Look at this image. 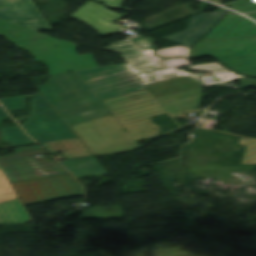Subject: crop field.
I'll return each instance as SVG.
<instances>
[{"mask_svg": "<svg viewBox=\"0 0 256 256\" xmlns=\"http://www.w3.org/2000/svg\"><path fill=\"white\" fill-rule=\"evenodd\" d=\"M0 36L32 53L38 62L47 64L50 69L48 75L99 67L92 54L79 56L74 43L60 41L2 20Z\"/></svg>", "mask_w": 256, "mask_h": 256, "instance_id": "crop-field-1", "label": "crop field"}, {"mask_svg": "<svg viewBox=\"0 0 256 256\" xmlns=\"http://www.w3.org/2000/svg\"><path fill=\"white\" fill-rule=\"evenodd\" d=\"M37 88L68 125L110 113L77 72L50 76Z\"/></svg>", "mask_w": 256, "mask_h": 256, "instance_id": "crop-field-2", "label": "crop field"}, {"mask_svg": "<svg viewBox=\"0 0 256 256\" xmlns=\"http://www.w3.org/2000/svg\"><path fill=\"white\" fill-rule=\"evenodd\" d=\"M129 99L133 95H140ZM142 97L140 100H134ZM104 104L131 133L136 141L157 136L160 128L151 122L153 116L166 112L148 89L103 100ZM153 128L157 129L155 131Z\"/></svg>", "mask_w": 256, "mask_h": 256, "instance_id": "crop-field-3", "label": "crop field"}, {"mask_svg": "<svg viewBox=\"0 0 256 256\" xmlns=\"http://www.w3.org/2000/svg\"><path fill=\"white\" fill-rule=\"evenodd\" d=\"M70 127L95 155L140 148L130 133L122 130L123 126L113 114L70 125Z\"/></svg>", "mask_w": 256, "mask_h": 256, "instance_id": "crop-field-4", "label": "crop field"}, {"mask_svg": "<svg viewBox=\"0 0 256 256\" xmlns=\"http://www.w3.org/2000/svg\"><path fill=\"white\" fill-rule=\"evenodd\" d=\"M212 55L226 66L256 77V38L207 40L203 38L191 49L192 58Z\"/></svg>", "mask_w": 256, "mask_h": 256, "instance_id": "crop-field-5", "label": "crop field"}, {"mask_svg": "<svg viewBox=\"0 0 256 256\" xmlns=\"http://www.w3.org/2000/svg\"><path fill=\"white\" fill-rule=\"evenodd\" d=\"M24 205L81 196V185L71 174L13 183Z\"/></svg>", "mask_w": 256, "mask_h": 256, "instance_id": "crop-field-6", "label": "crop field"}, {"mask_svg": "<svg viewBox=\"0 0 256 256\" xmlns=\"http://www.w3.org/2000/svg\"><path fill=\"white\" fill-rule=\"evenodd\" d=\"M24 130L38 143L76 137L42 94L35 95Z\"/></svg>", "mask_w": 256, "mask_h": 256, "instance_id": "crop-field-7", "label": "crop field"}, {"mask_svg": "<svg viewBox=\"0 0 256 256\" xmlns=\"http://www.w3.org/2000/svg\"><path fill=\"white\" fill-rule=\"evenodd\" d=\"M16 154L0 156V164L10 178L11 182L38 178L30 162L25 158L29 156L50 176L69 173L57 162H52L38 145L16 148ZM48 177V176H47ZM42 178V177H41Z\"/></svg>", "mask_w": 256, "mask_h": 256, "instance_id": "crop-field-8", "label": "crop field"}, {"mask_svg": "<svg viewBox=\"0 0 256 256\" xmlns=\"http://www.w3.org/2000/svg\"><path fill=\"white\" fill-rule=\"evenodd\" d=\"M0 19L36 31L52 30L31 0H0Z\"/></svg>", "mask_w": 256, "mask_h": 256, "instance_id": "crop-field-9", "label": "crop field"}, {"mask_svg": "<svg viewBox=\"0 0 256 256\" xmlns=\"http://www.w3.org/2000/svg\"><path fill=\"white\" fill-rule=\"evenodd\" d=\"M105 8V6L90 1L72 14L71 17L93 27L103 34L126 30L113 23L124 15H120Z\"/></svg>", "mask_w": 256, "mask_h": 256, "instance_id": "crop-field-10", "label": "crop field"}, {"mask_svg": "<svg viewBox=\"0 0 256 256\" xmlns=\"http://www.w3.org/2000/svg\"><path fill=\"white\" fill-rule=\"evenodd\" d=\"M227 10L218 9L212 13H202L189 18L188 28L185 31L172 34L164 39L190 48L197 42L225 13Z\"/></svg>", "mask_w": 256, "mask_h": 256, "instance_id": "crop-field-11", "label": "crop field"}, {"mask_svg": "<svg viewBox=\"0 0 256 256\" xmlns=\"http://www.w3.org/2000/svg\"><path fill=\"white\" fill-rule=\"evenodd\" d=\"M256 37V24L245 17L229 12L206 36L208 39Z\"/></svg>", "mask_w": 256, "mask_h": 256, "instance_id": "crop-field-12", "label": "crop field"}, {"mask_svg": "<svg viewBox=\"0 0 256 256\" xmlns=\"http://www.w3.org/2000/svg\"><path fill=\"white\" fill-rule=\"evenodd\" d=\"M202 91L203 87H200L157 98V100L170 116L183 115V113L190 112H200L204 111V109L195 110V107L199 106Z\"/></svg>", "mask_w": 256, "mask_h": 256, "instance_id": "crop-field-13", "label": "crop field"}, {"mask_svg": "<svg viewBox=\"0 0 256 256\" xmlns=\"http://www.w3.org/2000/svg\"><path fill=\"white\" fill-rule=\"evenodd\" d=\"M155 98L180 92L183 90L200 87L202 84L187 76L160 81L146 85Z\"/></svg>", "mask_w": 256, "mask_h": 256, "instance_id": "crop-field-14", "label": "crop field"}, {"mask_svg": "<svg viewBox=\"0 0 256 256\" xmlns=\"http://www.w3.org/2000/svg\"><path fill=\"white\" fill-rule=\"evenodd\" d=\"M50 154L62 152L66 159L91 155L78 138L41 144Z\"/></svg>", "mask_w": 256, "mask_h": 256, "instance_id": "crop-field-15", "label": "crop field"}, {"mask_svg": "<svg viewBox=\"0 0 256 256\" xmlns=\"http://www.w3.org/2000/svg\"><path fill=\"white\" fill-rule=\"evenodd\" d=\"M31 216L20 199L0 204V223L30 222Z\"/></svg>", "mask_w": 256, "mask_h": 256, "instance_id": "crop-field-16", "label": "crop field"}, {"mask_svg": "<svg viewBox=\"0 0 256 256\" xmlns=\"http://www.w3.org/2000/svg\"><path fill=\"white\" fill-rule=\"evenodd\" d=\"M62 164L71 170L78 179L107 174V171L105 172L94 157L63 162Z\"/></svg>", "mask_w": 256, "mask_h": 256, "instance_id": "crop-field-17", "label": "crop field"}, {"mask_svg": "<svg viewBox=\"0 0 256 256\" xmlns=\"http://www.w3.org/2000/svg\"><path fill=\"white\" fill-rule=\"evenodd\" d=\"M124 216L121 206L92 207L82 209V220L109 219Z\"/></svg>", "mask_w": 256, "mask_h": 256, "instance_id": "crop-field-18", "label": "crop field"}, {"mask_svg": "<svg viewBox=\"0 0 256 256\" xmlns=\"http://www.w3.org/2000/svg\"><path fill=\"white\" fill-rule=\"evenodd\" d=\"M3 141L10 142L13 146L35 143L22 132L19 126L3 128Z\"/></svg>", "mask_w": 256, "mask_h": 256, "instance_id": "crop-field-19", "label": "crop field"}, {"mask_svg": "<svg viewBox=\"0 0 256 256\" xmlns=\"http://www.w3.org/2000/svg\"><path fill=\"white\" fill-rule=\"evenodd\" d=\"M17 198V194L0 168V203Z\"/></svg>", "mask_w": 256, "mask_h": 256, "instance_id": "crop-field-20", "label": "crop field"}, {"mask_svg": "<svg viewBox=\"0 0 256 256\" xmlns=\"http://www.w3.org/2000/svg\"><path fill=\"white\" fill-rule=\"evenodd\" d=\"M240 143L248 146L242 164H256V139L255 138H249V139L242 138Z\"/></svg>", "mask_w": 256, "mask_h": 256, "instance_id": "crop-field-21", "label": "crop field"}, {"mask_svg": "<svg viewBox=\"0 0 256 256\" xmlns=\"http://www.w3.org/2000/svg\"><path fill=\"white\" fill-rule=\"evenodd\" d=\"M24 96L8 98V99H0L2 104L6 107L7 110H14V109H22L25 107L24 104Z\"/></svg>", "mask_w": 256, "mask_h": 256, "instance_id": "crop-field-22", "label": "crop field"}, {"mask_svg": "<svg viewBox=\"0 0 256 256\" xmlns=\"http://www.w3.org/2000/svg\"><path fill=\"white\" fill-rule=\"evenodd\" d=\"M236 80H237V79H236ZM239 80H240V82L242 83V85H243L244 87L256 86V80L250 79V78H248V77L240 78ZM232 81H233V80H232ZM228 82H230V81H228ZM224 83H226V82H224Z\"/></svg>", "mask_w": 256, "mask_h": 256, "instance_id": "crop-field-23", "label": "crop field"}, {"mask_svg": "<svg viewBox=\"0 0 256 256\" xmlns=\"http://www.w3.org/2000/svg\"><path fill=\"white\" fill-rule=\"evenodd\" d=\"M98 1H101L111 6L119 8L125 0H98Z\"/></svg>", "mask_w": 256, "mask_h": 256, "instance_id": "crop-field-24", "label": "crop field"}, {"mask_svg": "<svg viewBox=\"0 0 256 256\" xmlns=\"http://www.w3.org/2000/svg\"><path fill=\"white\" fill-rule=\"evenodd\" d=\"M7 117H8V115L5 113L3 108H0V120L3 119V118H7Z\"/></svg>", "mask_w": 256, "mask_h": 256, "instance_id": "crop-field-25", "label": "crop field"}, {"mask_svg": "<svg viewBox=\"0 0 256 256\" xmlns=\"http://www.w3.org/2000/svg\"><path fill=\"white\" fill-rule=\"evenodd\" d=\"M211 1H214V2H217V3H221V0H211Z\"/></svg>", "mask_w": 256, "mask_h": 256, "instance_id": "crop-field-26", "label": "crop field"}]
</instances>
